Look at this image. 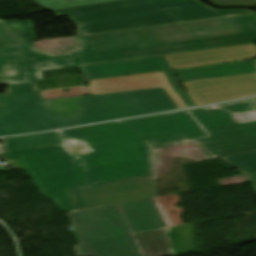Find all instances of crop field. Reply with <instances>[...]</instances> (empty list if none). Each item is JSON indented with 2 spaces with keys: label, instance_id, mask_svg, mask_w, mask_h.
<instances>
[{
  "label": "crop field",
  "instance_id": "18",
  "mask_svg": "<svg viewBox=\"0 0 256 256\" xmlns=\"http://www.w3.org/2000/svg\"><path fill=\"white\" fill-rule=\"evenodd\" d=\"M80 98L75 99H64V100H53V101H44L43 105L47 108L48 111H60L61 113H70L73 111V107L78 109H83L80 105Z\"/></svg>",
  "mask_w": 256,
  "mask_h": 256
},
{
  "label": "crop field",
  "instance_id": "2",
  "mask_svg": "<svg viewBox=\"0 0 256 256\" xmlns=\"http://www.w3.org/2000/svg\"><path fill=\"white\" fill-rule=\"evenodd\" d=\"M54 56L33 43L0 47V85L42 81L41 71L256 43V14L75 37Z\"/></svg>",
  "mask_w": 256,
  "mask_h": 256
},
{
  "label": "crop field",
  "instance_id": "13",
  "mask_svg": "<svg viewBox=\"0 0 256 256\" xmlns=\"http://www.w3.org/2000/svg\"><path fill=\"white\" fill-rule=\"evenodd\" d=\"M31 20L3 22L0 19V46L35 41Z\"/></svg>",
  "mask_w": 256,
  "mask_h": 256
},
{
  "label": "crop field",
  "instance_id": "22",
  "mask_svg": "<svg viewBox=\"0 0 256 256\" xmlns=\"http://www.w3.org/2000/svg\"><path fill=\"white\" fill-rule=\"evenodd\" d=\"M240 115L245 122L256 120V113L253 112L242 113Z\"/></svg>",
  "mask_w": 256,
  "mask_h": 256
},
{
  "label": "crop field",
  "instance_id": "20",
  "mask_svg": "<svg viewBox=\"0 0 256 256\" xmlns=\"http://www.w3.org/2000/svg\"><path fill=\"white\" fill-rule=\"evenodd\" d=\"M70 155H83L91 149L85 143H79L75 141L62 142Z\"/></svg>",
  "mask_w": 256,
  "mask_h": 256
},
{
  "label": "crop field",
  "instance_id": "4",
  "mask_svg": "<svg viewBox=\"0 0 256 256\" xmlns=\"http://www.w3.org/2000/svg\"><path fill=\"white\" fill-rule=\"evenodd\" d=\"M78 25V35L255 12L215 10L198 0H121L54 11Z\"/></svg>",
  "mask_w": 256,
  "mask_h": 256
},
{
  "label": "crop field",
  "instance_id": "16",
  "mask_svg": "<svg viewBox=\"0 0 256 256\" xmlns=\"http://www.w3.org/2000/svg\"><path fill=\"white\" fill-rule=\"evenodd\" d=\"M223 160L240 170L243 175L256 172V152L224 157Z\"/></svg>",
  "mask_w": 256,
  "mask_h": 256
},
{
  "label": "crop field",
  "instance_id": "12",
  "mask_svg": "<svg viewBox=\"0 0 256 256\" xmlns=\"http://www.w3.org/2000/svg\"><path fill=\"white\" fill-rule=\"evenodd\" d=\"M176 71V70H175ZM182 82L202 80L214 77L256 72V61H245L225 65L201 66L177 70Z\"/></svg>",
  "mask_w": 256,
  "mask_h": 256
},
{
  "label": "crop field",
  "instance_id": "23",
  "mask_svg": "<svg viewBox=\"0 0 256 256\" xmlns=\"http://www.w3.org/2000/svg\"><path fill=\"white\" fill-rule=\"evenodd\" d=\"M248 180H249V182H251V181H256V173L249 175V176H248Z\"/></svg>",
  "mask_w": 256,
  "mask_h": 256
},
{
  "label": "crop field",
  "instance_id": "10",
  "mask_svg": "<svg viewBox=\"0 0 256 256\" xmlns=\"http://www.w3.org/2000/svg\"><path fill=\"white\" fill-rule=\"evenodd\" d=\"M171 70L256 59L254 44L163 56Z\"/></svg>",
  "mask_w": 256,
  "mask_h": 256
},
{
  "label": "crop field",
  "instance_id": "3",
  "mask_svg": "<svg viewBox=\"0 0 256 256\" xmlns=\"http://www.w3.org/2000/svg\"><path fill=\"white\" fill-rule=\"evenodd\" d=\"M84 110L63 115L48 112L41 94L4 97L0 106V136L52 130L81 124L176 110L163 88L81 98ZM28 102H34L30 106Z\"/></svg>",
  "mask_w": 256,
  "mask_h": 256
},
{
  "label": "crop field",
  "instance_id": "15",
  "mask_svg": "<svg viewBox=\"0 0 256 256\" xmlns=\"http://www.w3.org/2000/svg\"><path fill=\"white\" fill-rule=\"evenodd\" d=\"M5 140L6 143L4 149L6 151L13 149L62 144L56 132L5 138Z\"/></svg>",
  "mask_w": 256,
  "mask_h": 256
},
{
  "label": "crop field",
  "instance_id": "17",
  "mask_svg": "<svg viewBox=\"0 0 256 256\" xmlns=\"http://www.w3.org/2000/svg\"><path fill=\"white\" fill-rule=\"evenodd\" d=\"M115 0H49V1H40L37 2L38 4L50 9H62V8H69V7H77V6H85L103 2H109Z\"/></svg>",
  "mask_w": 256,
  "mask_h": 256
},
{
  "label": "crop field",
  "instance_id": "6",
  "mask_svg": "<svg viewBox=\"0 0 256 256\" xmlns=\"http://www.w3.org/2000/svg\"><path fill=\"white\" fill-rule=\"evenodd\" d=\"M71 189L75 211L152 197V179H122Z\"/></svg>",
  "mask_w": 256,
  "mask_h": 256
},
{
  "label": "crop field",
  "instance_id": "24",
  "mask_svg": "<svg viewBox=\"0 0 256 256\" xmlns=\"http://www.w3.org/2000/svg\"><path fill=\"white\" fill-rule=\"evenodd\" d=\"M4 94H0V105H2V99Z\"/></svg>",
  "mask_w": 256,
  "mask_h": 256
},
{
  "label": "crop field",
  "instance_id": "11",
  "mask_svg": "<svg viewBox=\"0 0 256 256\" xmlns=\"http://www.w3.org/2000/svg\"><path fill=\"white\" fill-rule=\"evenodd\" d=\"M133 233L164 228L165 225L152 198L119 204Z\"/></svg>",
  "mask_w": 256,
  "mask_h": 256
},
{
  "label": "crop field",
  "instance_id": "1",
  "mask_svg": "<svg viewBox=\"0 0 256 256\" xmlns=\"http://www.w3.org/2000/svg\"><path fill=\"white\" fill-rule=\"evenodd\" d=\"M247 111L256 112L253 99L189 111L210 136L186 111L58 132L62 141L86 142L93 151L84 156H70L57 145L9 151L5 159H18L43 195L68 212L74 210L70 188L152 178L155 145L194 139L216 158L256 151V121L238 116Z\"/></svg>",
  "mask_w": 256,
  "mask_h": 256
},
{
  "label": "crop field",
  "instance_id": "21",
  "mask_svg": "<svg viewBox=\"0 0 256 256\" xmlns=\"http://www.w3.org/2000/svg\"><path fill=\"white\" fill-rule=\"evenodd\" d=\"M221 5H256V0H211Z\"/></svg>",
  "mask_w": 256,
  "mask_h": 256
},
{
  "label": "crop field",
  "instance_id": "26",
  "mask_svg": "<svg viewBox=\"0 0 256 256\" xmlns=\"http://www.w3.org/2000/svg\"><path fill=\"white\" fill-rule=\"evenodd\" d=\"M30 105H34L33 103H30Z\"/></svg>",
  "mask_w": 256,
  "mask_h": 256
},
{
  "label": "crop field",
  "instance_id": "7",
  "mask_svg": "<svg viewBox=\"0 0 256 256\" xmlns=\"http://www.w3.org/2000/svg\"><path fill=\"white\" fill-rule=\"evenodd\" d=\"M195 104L204 105L256 95V73L182 83Z\"/></svg>",
  "mask_w": 256,
  "mask_h": 256
},
{
  "label": "crop field",
  "instance_id": "14",
  "mask_svg": "<svg viewBox=\"0 0 256 256\" xmlns=\"http://www.w3.org/2000/svg\"><path fill=\"white\" fill-rule=\"evenodd\" d=\"M166 230L135 235L145 256H173L164 235Z\"/></svg>",
  "mask_w": 256,
  "mask_h": 256
},
{
  "label": "crop field",
  "instance_id": "27",
  "mask_svg": "<svg viewBox=\"0 0 256 256\" xmlns=\"http://www.w3.org/2000/svg\"><path fill=\"white\" fill-rule=\"evenodd\" d=\"M36 1H40V0H36Z\"/></svg>",
  "mask_w": 256,
  "mask_h": 256
},
{
  "label": "crop field",
  "instance_id": "8",
  "mask_svg": "<svg viewBox=\"0 0 256 256\" xmlns=\"http://www.w3.org/2000/svg\"><path fill=\"white\" fill-rule=\"evenodd\" d=\"M80 68L82 69L85 80L164 71L174 92L179 93L188 108L194 107V104L189 99L187 93L181 92L172 71L170 70L162 56L148 59L128 60L85 66Z\"/></svg>",
  "mask_w": 256,
  "mask_h": 256
},
{
  "label": "crop field",
  "instance_id": "19",
  "mask_svg": "<svg viewBox=\"0 0 256 256\" xmlns=\"http://www.w3.org/2000/svg\"><path fill=\"white\" fill-rule=\"evenodd\" d=\"M6 90L7 93L4 96H19L39 93L35 83L10 85Z\"/></svg>",
  "mask_w": 256,
  "mask_h": 256
},
{
  "label": "crop field",
  "instance_id": "9",
  "mask_svg": "<svg viewBox=\"0 0 256 256\" xmlns=\"http://www.w3.org/2000/svg\"><path fill=\"white\" fill-rule=\"evenodd\" d=\"M92 95L163 87L178 109L187 108L178 93L174 94L164 73L121 76L89 81Z\"/></svg>",
  "mask_w": 256,
  "mask_h": 256
},
{
  "label": "crop field",
  "instance_id": "25",
  "mask_svg": "<svg viewBox=\"0 0 256 256\" xmlns=\"http://www.w3.org/2000/svg\"><path fill=\"white\" fill-rule=\"evenodd\" d=\"M254 186H255V188H256V182H254Z\"/></svg>",
  "mask_w": 256,
  "mask_h": 256
},
{
  "label": "crop field",
  "instance_id": "5",
  "mask_svg": "<svg viewBox=\"0 0 256 256\" xmlns=\"http://www.w3.org/2000/svg\"><path fill=\"white\" fill-rule=\"evenodd\" d=\"M67 214L81 240L77 256H142L118 204Z\"/></svg>",
  "mask_w": 256,
  "mask_h": 256
}]
</instances>
